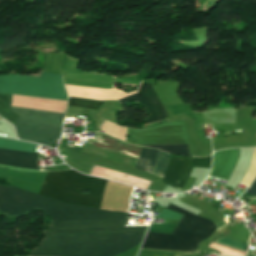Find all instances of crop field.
Returning a JSON list of instances; mask_svg holds the SVG:
<instances>
[{
	"instance_id": "8a807250",
	"label": "crop field",
	"mask_w": 256,
	"mask_h": 256,
	"mask_svg": "<svg viewBox=\"0 0 256 256\" xmlns=\"http://www.w3.org/2000/svg\"><path fill=\"white\" fill-rule=\"evenodd\" d=\"M33 208L46 212L52 223L44 232L46 239L29 254L30 256H115L141 243L147 229V226L124 227L126 213L65 205L22 189L0 186L1 213L17 216ZM94 231L133 232L139 235H51Z\"/></svg>"
},
{
	"instance_id": "ac0d7876",
	"label": "crop field",
	"mask_w": 256,
	"mask_h": 256,
	"mask_svg": "<svg viewBox=\"0 0 256 256\" xmlns=\"http://www.w3.org/2000/svg\"><path fill=\"white\" fill-rule=\"evenodd\" d=\"M106 180L87 177L73 170L49 172L40 195L64 203L99 209ZM90 191L89 194L82 192Z\"/></svg>"
},
{
	"instance_id": "34b2d1b8",
	"label": "crop field",
	"mask_w": 256,
	"mask_h": 256,
	"mask_svg": "<svg viewBox=\"0 0 256 256\" xmlns=\"http://www.w3.org/2000/svg\"><path fill=\"white\" fill-rule=\"evenodd\" d=\"M167 208L184 215L172 235L147 232L141 247L194 251L214 230L215 225L209 220L172 204Z\"/></svg>"
},
{
	"instance_id": "412701ff",
	"label": "crop field",
	"mask_w": 256,
	"mask_h": 256,
	"mask_svg": "<svg viewBox=\"0 0 256 256\" xmlns=\"http://www.w3.org/2000/svg\"><path fill=\"white\" fill-rule=\"evenodd\" d=\"M11 111L20 115L14 124L20 140L52 147L61 135L62 114L14 107Z\"/></svg>"
},
{
	"instance_id": "f4fd0767",
	"label": "crop field",
	"mask_w": 256,
	"mask_h": 256,
	"mask_svg": "<svg viewBox=\"0 0 256 256\" xmlns=\"http://www.w3.org/2000/svg\"><path fill=\"white\" fill-rule=\"evenodd\" d=\"M0 93L67 101L61 76L45 73L41 78L0 76Z\"/></svg>"
},
{
	"instance_id": "dd49c442",
	"label": "crop field",
	"mask_w": 256,
	"mask_h": 256,
	"mask_svg": "<svg viewBox=\"0 0 256 256\" xmlns=\"http://www.w3.org/2000/svg\"><path fill=\"white\" fill-rule=\"evenodd\" d=\"M35 144L0 138V148L34 153ZM0 149V164L38 170V154Z\"/></svg>"
},
{
	"instance_id": "e52e79f7",
	"label": "crop field",
	"mask_w": 256,
	"mask_h": 256,
	"mask_svg": "<svg viewBox=\"0 0 256 256\" xmlns=\"http://www.w3.org/2000/svg\"><path fill=\"white\" fill-rule=\"evenodd\" d=\"M211 155L202 158L170 156L163 182L181 191L194 167L210 168Z\"/></svg>"
},
{
	"instance_id": "d8731c3e",
	"label": "crop field",
	"mask_w": 256,
	"mask_h": 256,
	"mask_svg": "<svg viewBox=\"0 0 256 256\" xmlns=\"http://www.w3.org/2000/svg\"><path fill=\"white\" fill-rule=\"evenodd\" d=\"M131 100L140 101L148 108L151 115L148 116L149 119L147 121H144L146 123H151L167 117V114L151 84L142 83L137 94H133L118 101L123 104Z\"/></svg>"
},
{
	"instance_id": "5a996713",
	"label": "crop field",
	"mask_w": 256,
	"mask_h": 256,
	"mask_svg": "<svg viewBox=\"0 0 256 256\" xmlns=\"http://www.w3.org/2000/svg\"><path fill=\"white\" fill-rule=\"evenodd\" d=\"M89 145H93L96 147L104 148L107 150H111L114 152H118L121 154L129 155L132 157L138 156V153L140 151L139 146L131 145V144H126L120 140L111 138L109 136H106L102 133H99L97 138L94 139Z\"/></svg>"
},
{
	"instance_id": "3316defc",
	"label": "crop field",
	"mask_w": 256,
	"mask_h": 256,
	"mask_svg": "<svg viewBox=\"0 0 256 256\" xmlns=\"http://www.w3.org/2000/svg\"><path fill=\"white\" fill-rule=\"evenodd\" d=\"M159 152L142 147L134 168L151 174Z\"/></svg>"
},
{
	"instance_id": "28ad6ade",
	"label": "crop field",
	"mask_w": 256,
	"mask_h": 256,
	"mask_svg": "<svg viewBox=\"0 0 256 256\" xmlns=\"http://www.w3.org/2000/svg\"><path fill=\"white\" fill-rule=\"evenodd\" d=\"M102 103L103 102H101V101L70 98L69 106L80 107V108L97 109Z\"/></svg>"
},
{
	"instance_id": "d1516ede",
	"label": "crop field",
	"mask_w": 256,
	"mask_h": 256,
	"mask_svg": "<svg viewBox=\"0 0 256 256\" xmlns=\"http://www.w3.org/2000/svg\"><path fill=\"white\" fill-rule=\"evenodd\" d=\"M169 156H170V154H168V153H164L162 151L160 152V155L158 157V160H157V163L155 165L154 171L152 173L153 175L163 177L164 172H165L166 167H167Z\"/></svg>"
},
{
	"instance_id": "22f410ed",
	"label": "crop field",
	"mask_w": 256,
	"mask_h": 256,
	"mask_svg": "<svg viewBox=\"0 0 256 256\" xmlns=\"http://www.w3.org/2000/svg\"><path fill=\"white\" fill-rule=\"evenodd\" d=\"M149 147L159 148L169 153L189 155L187 145H160V146H149Z\"/></svg>"
},
{
	"instance_id": "cbeb9de0",
	"label": "crop field",
	"mask_w": 256,
	"mask_h": 256,
	"mask_svg": "<svg viewBox=\"0 0 256 256\" xmlns=\"http://www.w3.org/2000/svg\"><path fill=\"white\" fill-rule=\"evenodd\" d=\"M213 241L218 242V243H222V244H225V245H228V246H231V247L243 250V251L246 248V245L242 244V242H238V241H235V240L223 238V237H220V236L214 238Z\"/></svg>"
},
{
	"instance_id": "5142ce71",
	"label": "crop field",
	"mask_w": 256,
	"mask_h": 256,
	"mask_svg": "<svg viewBox=\"0 0 256 256\" xmlns=\"http://www.w3.org/2000/svg\"><path fill=\"white\" fill-rule=\"evenodd\" d=\"M181 217H182V215H180V214H177L175 212L164 209L162 211V213L158 217H156L155 219H158V218L180 219Z\"/></svg>"
},
{
	"instance_id": "d9b57169",
	"label": "crop field",
	"mask_w": 256,
	"mask_h": 256,
	"mask_svg": "<svg viewBox=\"0 0 256 256\" xmlns=\"http://www.w3.org/2000/svg\"><path fill=\"white\" fill-rule=\"evenodd\" d=\"M254 196H256V179L255 181L252 183V185L248 188V190L246 191Z\"/></svg>"
},
{
	"instance_id": "733c2abd",
	"label": "crop field",
	"mask_w": 256,
	"mask_h": 256,
	"mask_svg": "<svg viewBox=\"0 0 256 256\" xmlns=\"http://www.w3.org/2000/svg\"><path fill=\"white\" fill-rule=\"evenodd\" d=\"M254 234V236H256V232H252Z\"/></svg>"
},
{
	"instance_id": "4a817a6b",
	"label": "crop field",
	"mask_w": 256,
	"mask_h": 256,
	"mask_svg": "<svg viewBox=\"0 0 256 256\" xmlns=\"http://www.w3.org/2000/svg\"><path fill=\"white\" fill-rule=\"evenodd\" d=\"M27 1V0H26Z\"/></svg>"
}]
</instances>
